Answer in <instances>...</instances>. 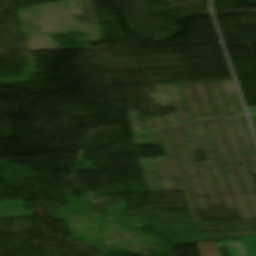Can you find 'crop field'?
Returning a JSON list of instances; mask_svg holds the SVG:
<instances>
[{
    "label": "crop field",
    "mask_w": 256,
    "mask_h": 256,
    "mask_svg": "<svg viewBox=\"0 0 256 256\" xmlns=\"http://www.w3.org/2000/svg\"><path fill=\"white\" fill-rule=\"evenodd\" d=\"M222 242H225V241H222ZM198 246H199L201 256H220L216 242L198 244Z\"/></svg>",
    "instance_id": "2"
},
{
    "label": "crop field",
    "mask_w": 256,
    "mask_h": 256,
    "mask_svg": "<svg viewBox=\"0 0 256 256\" xmlns=\"http://www.w3.org/2000/svg\"><path fill=\"white\" fill-rule=\"evenodd\" d=\"M249 113H256V109L248 110Z\"/></svg>",
    "instance_id": "5"
},
{
    "label": "crop field",
    "mask_w": 256,
    "mask_h": 256,
    "mask_svg": "<svg viewBox=\"0 0 256 256\" xmlns=\"http://www.w3.org/2000/svg\"><path fill=\"white\" fill-rule=\"evenodd\" d=\"M240 246V250L242 253V256H254L251 244L248 238L239 239L237 240ZM235 240L226 241V244L228 246L229 252L231 256H239L237 245ZM245 242H249L248 244ZM245 250H249V252H245Z\"/></svg>",
    "instance_id": "1"
},
{
    "label": "crop field",
    "mask_w": 256,
    "mask_h": 256,
    "mask_svg": "<svg viewBox=\"0 0 256 256\" xmlns=\"http://www.w3.org/2000/svg\"><path fill=\"white\" fill-rule=\"evenodd\" d=\"M251 117H252V120H253V123H254L255 129H256V116H251Z\"/></svg>",
    "instance_id": "4"
},
{
    "label": "crop field",
    "mask_w": 256,
    "mask_h": 256,
    "mask_svg": "<svg viewBox=\"0 0 256 256\" xmlns=\"http://www.w3.org/2000/svg\"><path fill=\"white\" fill-rule=\"evenodd\" d=\"M254 254L256 256V237L250 238Z\"/></svg>",
    "instance_id": "3"
}]
</instances>
